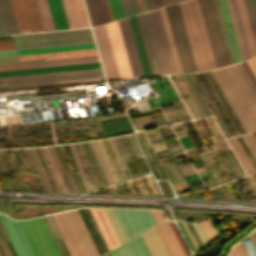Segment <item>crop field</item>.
<instances>
[{
  "instance_id": "1",
  "label": "crop field",
  "mask_w": 256,
  "mask_h": 256,
  "mask_svg": "<svg viewBox=\"0 0 256 256\" xmlns=\"http://www.w3.org/2000/svg\"><path fill=\"white\" fill-rule=\"evenodd\" d=\"M153 75L177 73L160 10L136 16Z\"/></svg>"
},
{
  "instance_id": "2",
  "label": "crop field",
  "mask_w": 256,
  "mask_h": 256,
  "mask_svg": "<svg viewBox=\"0 0 256 256\" xmlns=\"http://www.w3.org/2000/svg\"><path fill=\"white\" fill-rule=\"evenodd\" d=\"M183 19L198 70L215 68V62L197 0L180 2Z\"/></svg>"
},
{
  "instance_id": "3",
  "label": "crop field",
  "mask_w": 256,
  "mask_h": 256,
  "mask_svg": "<svg viewBox=\"0 0 256 256\" xmlns=\"http://www.w3.org/2000/svg\"><path fill=\"white\" fill-rule=\"evenodd\" d=\"M216 66L230 64V58L213 0H198Z\"/></svg>"
},
{
  "instance_id": "4",
  "label": "crop field",
  "mask_w": 256,
  "mask_h": 256,
  "mask_svg": "<svg viewBox=\"0 0 256 256\" xmlns=\"http://www.w3.org/2000/svg\"><path fill=\"white\" fill-rule=\"evenodd\" d=\"M18 222L35 256H60L42 217Z\"/></svg>"
},
{
  "instance_id": "5",
  "label": "crop field",
  "mask_w": 256,
  "mask_h": 256,
  "mask_svg": "<svg viewBox=\"0 0 256 256\" xmlns=\"http://www.w3.org/2000/svg\"><path fill=\"white\" fill-rule=\"evenodd\" d=\"M166 12L181 63L182 71H194L196 65L188 42L178 4L166 6Z\"/></svg>"
},
{
  "instance_id": "6",
  "label": "crop field",
  "mask_w": 256,
  "mask_h": 256,
  "mask_svg": "<svg viewBox=\"0 0 256 256\" xmlns=\"http://www.w3.org/2000/svg\"><path fill=\"white\" fill-rule=\"evenodd\" d=\"M128 238L156 225L149 210L114 209Z\"/></svg>"
},
{
  "instance_id": "7",
  "label": "crop field",
  "mask_w": 256,
  "mask_h": 256,
  "mask_svg": "<svg viewBox=\"0 0 256 256\" xmlns=\"http://www.w3.org/2000/svg\"><path fill=\"white\" fill-rule=\"evenodd\" d=\"M106 30L111 43L120 78L133 77L127 60L126 52L117 26V22L106 24Z\"/></svg>"
},
{
  "instance_id": "8",
  "label": "crop field",
  "mask_w": 256,
  "mask_h": 256,
  "mask_svg": "<svg viewBox=\"0 0 256 256\" xmlns=\"http://www.w3.org/2000/svg\"><path fill=\"white\" fill-rule=\"evenodd\" d=\"M83 256H99L77 211L63 213Z\"/></svg>"
},
{
  "instance_id": "9",
  "label": "crop field",
  "mask_w": 256,
  "mask_h": 256,
  "mask_svg": "<svg viewBox=\"0 0 256 256\" xmlns=\"http://www.w3.org/2000/svg\"><path fill=\"white\" fill-rule=\"evenodd\" d=\"M94 34L107 80L119 79L105 26L94 27Z\"/></svg>"
},
{
  "instance_id": "10",
  "label": "crop field",
  "mask_w": 256,
  "mask_h": 256,
  "mask_svg": "<svg viewBox=\"0 0 256 256\" xmlns=\"http://www.w3.org/2000/svg\"><path fill=\"white\" fill-rule=\"evenodd\" d=\"M0 221L13 245L17 256H34L16 220L0 214Z\"/></svg>"
},
{
  "instance_id": "11",
  "label": "crop field",
  "mask_w": 256,
  "mask_h": 256,
  "mask_svg": "<svg viewBox=\"0 0 256 256\" xmlns=\"http://www.w3.org/2000/svg\"><path fill=\"white\" fill-rule=\"evenodd\" d=\"M119 26L121 30V34L123 37L124 45L126 48L127 56L130 62V66L133 72L134 77L144 76L141 68V64L139 61V57L137 54V50L134 44V40L132 37V33L130 30V26L128 23V19L119 20Z\"/></svg>"
},
{
  "instance_id": "12",
  "label": "crop field",
  "mask_w": 256,
  "mask_h": 256,
  "mask_svg": "<svg viewBox=\"0 0 256 256\" xmlns=\"http://www.w3.org/2000/svg\"><path fill=\"white\" fill-rule=\"evenodd\" d=\"M93 55H98L96 49L58 52V53H46V54H35V55H24V56H18V57L20 60L37 59V58H44L45 60H50V59L72 58V57L93 56ZM18 57L17 56L1 57L0 64L43 60V59H38V60L19 61Z\"/></svg>"
},
{
  "instance_id": "13",
  "label": "crop field",
  "mask_w": 256,
  "mask_h": 256,
  "mask_svg": "<svg viewBox=\"0 0 256 256\" xmlns=\"http://www.w3.org/2000/svg\"><path fill=\"white\" fill-rule=\"evenodd\" d=\"M69 28L89 27L82 0H62Z\"/></svg>"
},
{
  "instance_id": "14",
  "label": "crop field",
  "mask_w": 256,
  "mask_h": 256,
  "mask_svg": "<svg viewBox=\"0 0 256 256\" xmlns=\"http://www.w3.org/2000/svg\"><path fill=\"white\" fill-rule=\"evenodd\" d=\"M94 61H99L98 56L0 65V70L31 68V67H41V66H52V65H63V64H73V63H84V62H94Z\"/></svg>"
},
{
  "instance_id": "15",
  "label": "crop field",
  "mask_w": 256,
  "mask_h": 256,
  "mask_svg": "<svg viewBox=\"0 0 256 256\" xmlns=\"http://www.w3.org/2000/svg\"><path fill=\"white\" fill-rule=\"evenodd\" d=\"M109 250L117 247L119 244L104 212L102 209H89Z\"/></svg>"
},
{
  "instance_id": "16",
  "label": "crop field",
  "mask_w": 256,
  "mask_h": 256,
  "mask_svg": "<svg viewBox=\"0 0 256 256\" xmlns=\"http://www.w3.org/2000/svg\"><path fill=\"white\" fill-rule=\"evenodd\" d=\"M169 255L170 256H184L168 222L165 220L155 226Z\"/></svg>"
},
{
  "instance_id": "17",
  "label": "crop field",
  "mask_w": 256,
  "mask_h": 256,
  "mask_svg": "<svg viewBox=\"0 0 256 256\" xmlns=\"http://www.w3.org/2000/svg\"><path fill=\"white\" fill-rule=\"evenodd\" d=\"M72 256H82L62 213L52 215Z\"/></svg>"
},
{
  "instance_id": "18",
  "label": "crop field",
  "mask_w": 256,
  "mask_h": 256,
  "mask_svg": "<svg viewBox=\"0 0 256 256\" xmlns=\"http://www.w3.org/2000/svg\"><path fill=\"white\" fill-rule=\"evenodd\" d=\"M85 3L92 26L109 21L103 0H85Z\"/></svg>"
},
{
  "instance_id": "19",
  "label": "crop field",
  "mask_w": 256,
  "mask_h": 256,
  "mask_svg": "<svg viewBox=\"0 0 256 256\" xmlns=\"http://www.w3.org/2000/svg\"><path fill=\"white\" fill-rule=\"evenodd\" d=\"M128 19H129V22H130V25H131V28H132V32H133V35H134V39H135V43H136L137 50H138V53H139V57H140V60H141L144 75L145 76L152 75L150 67H149V63H148V60H147V56H146V53H145V49H144V46H143L140 31H139V28H138V24H137V21H136V17L133 16V17H129Z\"/></svg>"
},
{
  "instance_id": "20",
  "label": "crop field",
  "mask_w": 256,
  "mask_h": 256,
  "mask_svg": "<svg viewBox=\"0 0 256 256\" xmlns=\"http://www.w3.org/2000/svg\"><path fill=\"white\" fill-rule=\"evenodd\" d=\"M56 30L69 29L61 0H48Z\"/></svg>"
},
{
  "instance_id": "21",
  "label": "crop field",
  "mask_w": 256,
  "mask_h": 256,
  "mask_svg": "<svg viewBox=\"0 0 256 256\" xmlns=\"http://www.w3.org/2000/svg\"><path fill=\"white\" fill-rule=\"evenodd\" d=\"M96 66H101V65H100L99 62H94V63H84V64H74V65H64V66H54V67H43V68L13 70V71H2V72H0V75L41 72V71H52V70H63V69H74V68H85V67H96Z\"/></svg>"
},
{
  "instance_id": "22",
  "label": "crop field",
  "mask_w": 256,
  "mask_h": 256,
  "mask_svg": "<svg viewBox=\"0 0 256 256\" xmlns=\"http://www.w3.org/2000/svg\"><path fill=\"white\" fill-rule=\"evenodd\" d=\"M225 2H226V5H227L228 13H229L230 20H231V23H232V27H233V30H234V34H235V37H236V41H237V45H238L239 52H240V55H241V59L242 60L247 59L245 48H244V45H243L242 37H241L239 26H238V22H237V19H236L235 11H234V8H233L232 0H225Z\"/></svg>"
},
{
  "instance_id": "23",
  "label": "crop field",
  "mask_w": 256,
  "mask_h": 256,
  "mask_svg": "<svg viewBox=\"0 0 256 256\" xmlns=\"http://www.w3.org/2000/svg\"><path fill=\"white\" fill-rule=\"evenodd\" d=\"M43 31L55 30L47 0H35Z\"/></svg>"
},
{
  "instance_id": "24",
  "label": "crop field",
  "mask_w": 256,
  "mask_h": 256,
  "mask_svg": "<svg viewBox=\"0 0 256 256\" xmlns=\"http://www.w3.org/2000/svg\"><path fill=\"white\" fill-rule=\"evenodd\" d=\"M31 32L42 31L33 0H22Z\"/></svg>"
},
{
  "instance_id": "25",
  "label": "crop field",
  "mask_w": 256,
  "mask_h": 256,
  "mask_svg": "<svg viewBox=\"0 0 256 256\" xmlns=\"http://www.w3.org/2000/svg\"><path fill=\"white\" fill-rule=\"evenodd\" d=\"M124 244L130 256H151L141 234Z\"/></svg>"
},
{
  "instance_id": "26",
  "label": "crop field",
  "mask_w": 256,
  "mask_h": 256,
  "mask_svg": "<svg viewBox=\"0 0 256 256\" xmlns=\"http://www.w3.org/2000/svg\"><path fill=\"white\" fill-rule=\"evenodd\" d=\"M96 48L94 43L17 51L19 55Z\"/></svg>"
},
{
  "instance_id": "27",
  "label": "crop field",
  "mask_w": 256,
  "mask_h": 256,
  "mask_svg": "<svg viewBox=\"0 0 256 256\" xmlns=\"http://www.w3.org/2000/svg\"><path fill=\"white\" fill-rule=\"evenodd\" d=\"M236 2H237L238 10H239V13H240V17H241V20H242V24H243V27H244V31H245V34H246L249 49H250V52H251V56L253 57V56L256 55V46H255L254 39H253V36H252V33H251V29H250V26H249V23H248V19H247V16H246L243 1L242 0H236Z\"/></svg>"
},
{
  "instance_id": "28",
  "label": "crop field",
  "mask_w": 256,
  "mask_h": 256,
  "mask_svg": "<svg viewBox=\"0 0 256 256\" xmlns=\"http://www.w3.org/2000/svg\"><path fill=\"white\" fill-rule=\"evenodd\" d=\"M214 1H215L216 8H217V11H218V15H219V18H220V21H221V25H222V28H223V32H224V36H225V39H226V43H227L228 51H229V54H230L231 62L235 63L237 61H236V57H235V54H234L232 43H231V40H230V37H229L227 26H226V23H225V19H224V15H223V12H222L220 1L219 0H214Z\"/></svg>"
},
{
  "instance_id": "29",
  "label": "crop field",
  "mask_w": 256,
  "mask_h": 256,
  "mask_svg": "<svg viewBox=\"0 0 256 256\" xmlns=\"http://www.w3.org/2000/svg\"><path fill=\"white\" fill-rule=\"evenodd\" d=\"M104 211H105V213H106V215H107V217H108V219H109V221H110V223H111V225H112L120 243H123L126 240H128L124 231H123V229H122V227H121V225H120V223H119V221H118V219H117V217H116V215H115V213H114V211H113V209H104Z\"/></svg>"
},
{
  "instance_id": "30",
  "label": "crop field",
  "mask_w": 256,
  "mask_h": 256,
  "mask_svg": "<svg viewBox=\"0 0 256 256\" xmlns=\"http://www.w3.org/2000/svg\"><path fill=\"white\" fill-rule=\"evenodd\" d=\"M160 10H161L162 18H163L164 25H165V28H166L169 43H170V46H171L174 61H175V64H176L177 72L180 73L182 71H181L179 60H178L177 52H176V49H175L174 41H173V38H172L171 30H170V27H169L168 19H167V16H166L165 8L163 7Z\"/></svg>"
},
{
  "instance_id": "31",
  "label": "crop field",
  "mask_w": 256,
  "mask_h": 256,
  "mask_svg": "<svg viewBox=\"0 0 256 256\" xmlns=\"http://www.w3.org/2000/svg\"><path fill=\"white\" fill-rule=\"evenodd\" d=\"M96 71H102V70H101V69H95V70H83V71L59 72V73H48V74H37V75L15 76V77H3V78H0V80L18 79V78H29V77H39V76H50V75H60V74H72V73L96 72Z\"/></svg>"
},
{
  "instance_id": "32",
  "label": "crop field",
  "mask_w": 256,
  "mask_h": 256,
  "mask_svg": "<svg viewBox=\"0 0 256 256\" xmlns=\"http://www.w3.org/2000/svg\"><path fill=\"white\" fill-rule=\"evenodd\" d=\"M177 1H181V0H166V4L168 5ZM147 2L150 10L166 5L165 0H147Z\"/></svg>"
},
{
  "instance_id": "33",
  "label": "crop field",
  "mask_w": 256,
  "mask_h": 256,
  "mask_svg": "<svg viewBox=\"0 0 256 256\" xmlns=\"http://www.w3.org/2000/svg\"><path fill=\"white\" fill-rule=\"evenodd\" d=\"M169 223H170V225H171V227H172V229H173V231H174V233H175V235H176V237H177L185 255L186 256H191L187 247H186V245H185V243H184V241H183V239H182V237H181V235H180V233H179V231H178V229H177V227H176V225L173 222H169Z\"/></svg>"
},
{
  "instance_id": "34",
  "label": "crop field",
  "mask_w": 256,
  "mask_h": 256,
  "mask_svg": "<svg viewBox=\"0 0 256 256\" xmlns=\"http://www.w3.org/2000/svg\"><path fill=\"white\" fill-rule=\"evenodd\" d=\"M235 65H236V64H235ZM237 66H238V68H239V70H240V72H241L243 78L245 79V81H246V83H247V85H248L250 91L252 92L254 98L256 99V90H255L253 84L251 83L249 77L247 76L245 70L243 69L241 63H238Z\"/></svg>"
},
{
  "instance_id": "35",
  "label": "crop field",
  "mask_w": 256,
  "mask_h": 256,
  "mask_svg": "<svg viewBox=\"0 0 256 256\" xmlns=\"http://www.w3.org/2000/svg\"><path fill=\"white\" fill-rule=\"evenodd\" d=\"M228 142H229L230 146L232 147L234 153L236 154L238 160L240 161L242 167L244 168L246 174H249V171H248V169L245 166L247 164H246L245 160L243 159V157L241 156L240 152L238 151L237 147L233 143L232 139H229Z\"/></svg>"
},
{
  "instance_id": "36",
  "label": "crop field",
  "mask_w": 256,
  "mask_h": 256,
  "mask_svg": "<svg viewBox=\"0 0 256 256\" xmlns=\"http://www.w3.org/2000/svg\"><path fill=\"white\" fill-rule=\"evenodd\" d=\"M192 226L194 227L196 233L198 234L199 238L201 239L202 243L205 242L207 239L200 223H194V222H191Z\"/></svg>"
},
{
  "instance_id": "37",
  "label": "crop field",
  "mask_w": 256,
  "mask_h": 256,
  "mask_svg": "<svg viewBox=\"0 0 256 256\" xmlns=\"http://www.w3.org/2000/svg\"><path fill=\"white\" fill-rule=\"evenodd\" d=\"M201 225H202L208 239L216 233L213 226L211 225L210 221L202 222Z\"/></svg>"
},
{
  "instance_id": "38",
  "label": "crop field",
  "mask_w": 256,
  "mask_h": 256,
  "mask_svg": "<svg viewBox=\"0 0 256 256\" xmlns=\"http://www.w3.org/2000/svg\"><path fill=\"white\" fill-rule=\"evenodd\" d=\"M112 256H129L124 244L110 251Z\"/></svg>"
},
{
  "instance_id": "39",
  "label": "crop field",
  "mask_w": 256,
  "mask_h": 256,
  "mask_svg": "<svg viewBox=\"0 0 256 256\" xmlns=\"http://www.w3.org/2000/svg\"><path fill=\"white\" fill-rule=\"evenodd\" d=\"M233 3H234V7H235V11H236V14H237V18H238V21H239V25H240V28H241V32H242V35H243V39H244V43H245V46H246V50H247V53H248V57L250 58V52H249V49H248V45H247V42H246V38H245V34H244V31H243V27H242V24H241V20H240V17H239V13H238V10H237V6H236V2L235 0H233Z\"/></svg>"
},
{
  "instance_id": "40",
  "label": "crop field",
  "mask_w": 256,
  "mask_h": 256,
  "mask_svg": "<svg viewBox=\"0 0 256 256\" xmlns=\"http://www.w3.org/2000/svg\"><path fill=\"white\" fill-rule=\"evenodd\" d=\"M98 78H103V77L85 78V79H73V80H61V81H49V82H37V83H25V84H13V85H8V86L9 87H13V86H22V85H30V84L52 83V82H63V81H75V80H86V79H98Z\"/></svg>"
},
{
  "instance_id": "41",
  "label": "crop field",
  "mask_w": 256,
  "mask_h": 256,
  "mask_svg": "<svg viewBox=\"0 0 256 256\" xmlns=\"http://www.w3.org/2000/svg\"><path fill=\"white\" fill-rule=\"evenodd\" d=\"M241 63H242L244 69L246 70L248 76L250 77L252 83L254 84V86H255V88H256V80H255V78H254V76H253L251 70L249 69V67H248V65H247V63H246V61L241 62Z\"/></svg>"
},
{
  "instance_id": "42",
  "label": "crop field",
  "mask_w": 256,
  "mask_h": 256,
  "mask_svg": "<svg viewBox=\"0 0 256 256\" xmlns=\"http://www.w3.org/2000/svg\"><path fill=\"white\" fill-rule=\"evenodd\" d=\"M235 247H236L240 256H248L242 242H239L237 245H235Z\"/></svg>"
},
{
  "instance_id": "43",
  "label": "crop field",
  "mask_w": 256,
  "mask_h": 256,
  "mask_svg": "<svg viewBox=\"0 0 256 256\" xmlns=\"http://www.w3.org/2000/svg\"><path fill=\"white\" fill-rule=\"evenodd\" d=\"M249 67L251 68L254 76L256 77V57L247 60Z\"/></svg>"
},
{
  "instance_id": "44",
  "label": "crop field",
  "mask_w": 256,
  "mask_h": 256,
  "mask_svg": "<svg viewBox=\"0 0 256 256\" xmlns=\"http://www.w3.org/2000/svg\"><path fill=\"white\" fill-rule=\"evenodd\" d=\"M90 42H94V41L79 42V43H70V44H60V45H49V46L23 47V48H17V50H21V49H31V48H41V47H51V46H61V45H71V44H80V43H90Z\"/></svg>"
},
{
  "instance_id": "45",
  "label": "crop field",
  "mask_w": 256,
  "mask_h": 256,
  "mask_svg": "<svg viewBox=\"0 0 256 256\" xmlns=\"http://www.w3.org/2000/svg\"><path fill=\"white\" fill-rule=\"evenodd\" d=\"M151 213H152V215H153V217H154L156 223H159V222H161L162 220H164V218H163L161 212H159V211H151Z\"/></svg>"
},
{
  "instance_id": "46",
  "label": "crop field",
  "mask_w": 256,
  "mask_h": 256,
  "mask_svg": "<svg viewBox=\"0 0 256 256\" xmlns=\"http://www.w3.org/2000/svg\"><path fill=\"white\" fill-rule=\"evenodd\" d=\"M10 48H15L13 41L0 43V49H10Z\"/></svg>"
},
{
  "instance_id": "47",
  "label": "crop field",
  "mask_w": 256,
  "mask_h": 256,
  "mask_svg": "<svg viewBox=\"0 0 256 256\" xmlns=\"http://www.w3.org/2000/svg\"><path fill=\"white\" fill-rule=\"evenodd\" d=\"M12 55H17L15 49L0 50V56H12Z\"/></svg>"
},
{
  "instance_id": "48",
  "label": "crop field",
  "mask_w": 256,
  "mask_h": 256,
  "mask_svg": "<svg viewBox=\"0 0 256 256\" xmlns=\"http://www.w3.org/2000/svg\"><path fill=\"white\" fill-rule=\"evenodd\" d=\"M181 224H182V226L184 227L185 231L187 232V234H188L189 238L191 239L192 243L194 244L195 248L198 247L197 244H196V242H195V240H194V238L192 237L190 231L188 230V228H187L185 222H181Z\"/></svg>"
},
{
  "instance_id": "49",
  "label": "crop field",
  "mask_w": 256,
  "mask_h": 256,
  "mask_svg": "<svg viewBox=\"0 0 256 256\" xmlns=\"http://www.w3.org/2000/svg\"><path fill=\"white\" fill-rule=\"evenodd\" d=\"M236 140H237L238 144L240 145V147H241L242 151L244 152V154H245L246 158L248 159V161H249L250 165L252 166V168H253L254 172H256V169H255L254 165L252 164V162H251L250 158L248 157V155H247L246 151L244 150V148H243L242 144L240 143V141H239L238 137H236Z\"/></svg>"
},
{
  "instance_id": "50",
  "label": "crop field",
  "mask_w": 256,
  "mask_h": 256,
  "mask_svg": "<svg viewBox=\"0 0 256 256\" xmlns=\"http://www.w3.org/2000/svg\"><path fill=\"white\" fill-rule=\"evenodd\" d=\"M249 236H250V238H251V240H252V242H253V244L256 248V231L253 232L252 234H249Z\"/></svg>"
},
{
  "instance_id": "51",
  "label": "crop field",
  "mask_w": 256,
  "mask_h": 256,
  "mask_svg": "<svg viewBox=\"0 0 256 256\" xmlns=\"http://www.w3.org/2000/svg\"><path fill=\"white\" fill-rule=\"evenodd\" d=\"M135 1H136V5H137V8H138V12L139 13L142 12L143 10H142V6H141L140 0H135Z\"/></svg>"
},
{
  "instance_id": "52",
  "label": "crop field",
  "mask_w": 256,
  "mask_h": 256,
  "mask_svg": "<svg viewBox=\"0 0 256 256\" xmlns=\"http://www.w3.org/2000/svg\"><path fill=\"white\" fill-rule=\"evenodd\" d=\"M242 138H243V140L245 141V143H246L247 147L249 148L250 152L252 153L254 159L256 160V156H255V154L253 153V151H252V149L250 148V146L248 145V143H247V141L245 140L244 136H242Z\"/></svg>"
},
{
  "instance_id": "53",
  "label": "crop field",
  "mask_w": 256,
  "mask_h": 256,
  "mask_svg": "<svg viewBox=\"0 0 256 256\" xmlns=\"http://www.w3.org/2000/svg\"><path fill=\"white\" fill-rule=\"evenodd\" d=\"M229 256H239L237 251H236V249H235V247H233V249H232V251H231Z\"/></svg>"
},
{
  "instance_id": "54",
  "label": "crop field",
  "mask_w": 256,
  "mask_h": 256,
  "mask_svg": "<svg viewBox=\"0 0 256 256\" xmlns=\"http://www.w3.org/2000/svg\"><path fill=\"white\" fill-rule=\"evenodd\" d=\"M249 136H250L251 140L253 141V143H254V145L256 147V139H255L253 133H250Z\"/></svg>"
},
{
  "instance_id": "55",
  "label": "crop field",
  "mask_w": 256,
  "mask_h": 256,
  "mask_svg": "<svg viewBox=\"0 0 256 256\" xmlns=\"http://www.w3.org/2000/svg\"><path fill=\"white\" fill-rule=\"evenodd\" d=\"M246 138H247L248 142L250 143V145H251L252 149L254 150V152H255V154H256V150H255V148H254L253 144L251 143V141H250V139H249L248 135H246Z\"/></svg>"
},
{
  "instance_id": "56",
  "label": "crop field",
  "mask_w": 256,
  "mask_h": 256,
  "mask_svg": "<svg viewBox=\"0 0 256 256\" xmlns=\"http://www.w3.org/2000/svg\"><path fill=\"white\" fill-rule=\"evenodd\" d=\"M141 2H142V0H141ZM142 6H143V2H142ZM143 10H144V6H143ZM145 11V10H144Z\"/></svg>"
},
{
  "instance_id": "57",
  "label": "crop field",
  "mask_w": 256,
  "mask_h": 256,
  "mask_svg": "<svg viewBox=\"0 0 256 256\" xmlns=\"http://www.w3.org/2000/svg\"><path fill=\"white\" fill-rule=\"evenodd\" d=\"M255 1V5H256V0H254Z\"/></svg>"
}]
</instances>
